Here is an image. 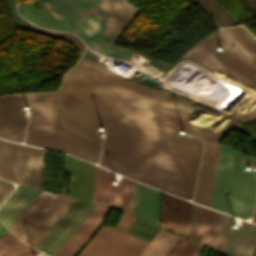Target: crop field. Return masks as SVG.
<instances>
[{
    "mask_svg": "<svg viewBox=\"0 0 256 256\" xmlns=\"http://www.w3.org/2000/svg\"><path fill=\"white\" fill-rule=\"evenodd\" d=\"M44 150L0 140V177L42 190Z\"/></svg>",
    "mask_w": 256,
    "mask_h": 256,
    "instance_id": "412701ff",
    "label": "crop field"
},
{
    "mask_svg": "<svg viewBox=\"0 0 256 256\" xmlns=\"http://www.w3.org/2000/svg\"><path fill=\"white\" fill-rule=\"evenodd\" d=\"M148 242L124 233L106 256H138Z\"/></svg>",
    "mask_w": 256,
    "mask_h": 256,
    "instance_id": "d9b57169",
    "label": "crop field"
},
{
    "mask_svg": "<svg viewBox=\"0 0 256 256\" xmlns=\"http://www.w3.org/2000/svg\"><path fill=\"white\" fill-rule=\"evenodd\" d=\"M38 250H36V249H32V250H30L28 253H26L24 256H32L33 254H35L36 252H37Z\"/></svg>",
    "mask_w": 256,
    "mask_h": 256,
    "instance_id": "4177f3b9",
    "label": "crop field"
},
{
    "mask_svg": "<svg viewBox=\"0 0 256 256\" xmlns=\"http://www.w3.org/2000/svg\"><path fill=\"white\" fill-rule=\"evenodd\" d=\"M223 214L216 211L213 250L219 252Z\"/></svg>",
    "mask_w": 256,
    "mask_h": 256,
    "instance_id": "214f88e0",
    "label": "crop field"
},
{
    "mask_svg": "<svg viewBox=\"0 0 256 256\" xmlns=\"http://www.w3.org/2000/svg\"><path fill=\"white\" fill-rule=\"evenodd\" d=\"M191 203L164 192L161 227L188 238Z\"/></svg>",
    "mask_w": 256,
    "mask_h": 256,
    "instance_id": "d8731c3e",
    "label": "crop field"
},
{
    "mask_svg": "<svg viewBox=\"0 0 256 256\" xmlns=\"http://www.w3.org/2000/svg\"><path fill=\"white\" fill-rule=\"evenodd\" d=\"M204 10L220 27L239 22L225 7L216 0H197Z\"/></svg>",
    "mask_w": 256,
    "mask_h": 256,
    "instance_id": "4a817a6b",
    "label": "crop field"
},
{
    "mask_svg": "<svg viewBox=\"0 0 256 256\" xmlns=\"http://www.w3.org/2000/svg\"><path fill=\"white\" fill-rule=\"evenodd\" d=\"M215 211L199 205L196 242L212 248Z\"/></svg>",
    "mask_w": 256,
    "mask_h": 256,
    "instance_id": "5142ce71",
    "label": "crop field"
},
{
    "mask_svg": "<svg viewBox=\"0 0 256 256\" xmlns=\"http://www.w3.org/2000/svg\"><path fill=\"white\" fill-rule=\"evenodd\" d=\"M202 249V246L188 241L176 256H199Z\"/></svg>",
    "mask_w": 256,
    "mask_h": 256,
    "instance_id": "92a150f3",
    "label": "crop field"
},
{
    "mask_svg": "<svg viewBox=\"0 0 256 256\" xmlns=\"http://www.w3.org/2000/svg\"><path fill=\"white\" fill-rule=\"evenodd\" d=\"M160 197V191L135 182L132 215L158 226Z\"/></svg>",
    "mask_w": 256,
    "mask_h": 256,
    "instance_id": "d1516ede",
    "label": "crop field"
},
{
    "mask_svg": "<svg viewBox=\"0 0 256 256\" xmlns=\"http://www.w3.org/2000/svg\"><path fill=\"white\" fill-rule=\"evenodd\" d=\"M52 197V194L41 191L10 230L19 237Z\"/></svg>",
    "mask_w": 256,
    "mask_h": 256,
    "instance_id": "cbeb9de0",
    "label": "crop field"
},
{
    "mask_svg": "<svg viewBox=\"0 0 256 256\" xmlns=\"http://www.w3.org/2000/svg\"><path fill=\"white\" fill-rule=\"evenodd\" d=\"M253 223H256V203H255V209H254V214H253Z\"/></svg>",
    "mask_w": 256,
    "mask_h": 256,
    "instance_id": "730fd06b",
    "label": "crop field"
},
{
    "mask_svg": "<svg viewBox=\"0 0 256 256\" xmlns=\"http://www.w3.org/2000/svg\"><path fill=\"white\" fill-rule=\"evenodd\" d=\"M219 144H216L212 141L206 139L198 184L194 196V202L205 205L208 207L218 152H219Z\"/></svg>",
    "mask_w": 256,
    "mask_h": 256,
    "instance_id": "3316defc",
    "label": "crop field"
},
{
    "mask_svg": "<svg viewBox=\"0 0 256 256\" xmlns=\"http://www.w3.org/2000/svg\"><path fill=\"white\" fill-rule=\"evenodd\" d=\"M256 66V40L242 26L225 29ZM219 30L187 52L188 59L254 91L236 116L217 134L185 120L196 110L169 95L139 87L81 57L66 73L58 92L0 97V138L66 152L184 199H191L202 142L182 131L219 143L239 123L256 118V68Z\"/></svg>",
    "mask_w": 256,
    "mask_h": 256,
    "instance_id": "8a807250",
    "label": "crop field"
},
{
    "mask_svg": "<svg viewBox=\"0 0 256 256\" xmlns=\"http://www.w3.org/2000/svg\"><path fill=\"white\" fill-rule=\"evenodd\" d=\"M74 201L55 195L19 238L36 247Z\"/></svg>",
    "mask_w": 256,
    "mask_h": 256,
    "instance_id": "f4fd0767",
    "label": "crop field"
},
{
    "mask_svg": "<svg viewBox=\"0 0 256 256\" xmlns=\"http://www.w3.org/2000/svg\"><path fill=\"white\" fill-rule=\"evenodd\" d=\"M112 179V172L96 166L93 202L123 211L126 179L119 186H112Z\"/></svg>",
    "mask_w": 256,
    "mask_h": 256,
    "instance_id": "5a996713",
    "label": "crop field"
},
{
    "mask_svg": "<svg viewBox=\"0 0 256 256\" xmlns=\"http://www.w3.org/2000/svg\"><path fill=\"white\" fill-rule=\"evenodd\" d=\"M232 216L224 214L220 252L227 256H253L256 249V225L243 221L242 230L230 234Z\"/></svg>",
    "mask_w": 256,
    "mask_h": 256,
    "instance_id": "dd49c442",
    "label": "crop field"
},
{
    "mask_svg": "<svg viewBox=\"0 0 256 256\" xmlns=\"http://www.w3.org/2000/svg\"><path fill=\"white\" fill-rule=\"evenodd\" d=\"M13 190V186L10 182L0 180V204Z\"/></svg>",
    "mask_w": 256,
    "mask_h": 256,
    "instance_id": "00972430",
    "label": "crop field"
},
{
    "mask_svg": "<svg viewBox=\"0 0 256 256\" xmlns=\"http://www.w3.org/2000/svg\"><path fill=\"white\" fill-rule=\"evenodd\" d=\"M134 220L124 213L116 229L102 226L78 256H105Z\"/></svg>",
    "mask_w": 256,
    "mask_h": 256,
    "instance_id": "28ad6ade",
    "label": "crop field"
},
{
    "mask_svg": "<svg viewBox=\"0 0 256 256\" xmlns=\"http://www.w3.org/2000/svg\"><path fill=\"white\" fill-rule=\"evenodd\" d=\"M39 192L40 190L19 185L0 207V221L10 229Z\"/></svg>",
    "mask_w": 256,
    "mask_h": 256,
    "instance_id": "22f410ed",
    "label": "crop field"
},
{
    "mask_svg": "<svg viewBox=\"0 0 256 256\" xmlns=\"http://www.w3.org/2000/svg\"><path fill=\"white\" fill-rule=\"evenodd\" d=\"M12 234L9 232L0 239V256H22L32 248Z\"/></svg>",
    "mask_w": 256,
    "mask_h": 256,
    "instance_id": "bc2a9ffb",
    "label": "crop field"
},
{
    "mask_svg": "<svg viewBox=\"0 0 256 256\" xmlns=\"http://www.w3.org/2000/svg\"><path fill=\"white\" fill-rule=\"evenodd\" d=\"M109 208L96 205L54 256H75L101 225Z\"/></svg>",
    "mask_w": 256,
    "mask_h": 256,
    "instance_id": "e52e79f7",
    "label": "crop field"
},
{
    "mask_svg": "<svg viewBox=\"0 0 256 256\" xmlns=\"http://www.w3.org/2000/svg\"><path fill=\"white\" fill-rule=\"evenodd\" d=\"M134 181L127 179L124 211L131 214Z\"/></svg>",
    "mask_w": 256,
    "mask_h": 256,
    "instance_id": "dafd665d",
    "label": "crop field"
},
{
    "mask_svg": "<svg viewBox=\"0 0 256 256\" xmlns=\"http://www.w3.org/2000/svg\"><path fill=\"white\" fill-rule=\"evenodd\" d=\"M172 234L161 229L139 256H164L179 238Z\"/></svg>",
    "mask_w": 256,
    "mask_h": 256,
    "instance_id": "733c2abd",
    "label": "crop field"
},
{
    "mask_svg": "<svg viewBox=\"0 0 256 256\" xmlns=\"http://www.w3.org/2000/svg\"><path fill=\"white\" fill-rule=\"evenodd\" d=\"M39 1L87 45L119 58H126L131 53L113 45L139 12L127 0Z\"/></svg>",
    "mask_w": 256,
    "mask_h": 256,
    "instance_id": "ac0d7876",
    "label": "crop field"
},
{
    "mask_svg": "<svg viewBox=\"0 0 256 256\" xmlns=\"http://www.w3.org/2000/svg\"><path fill=\"white\" fill-rule=\"evenodd\" d=\"M247 157L220 147L210 208L245 219L251 216L256 173L244 172Z\"/></svg>",
    "mask_w": 256,
    "mask_h": 256,
    "instance_id": "34b2d1b8",
    "label": "crop field"
},
{
    "mask_svg": "<svg viewBox=\"0 0 256 256\" xmlns=\"http://www.w3.org/2000/svg\"><path fill=\"white\" fill-rule=\"evenodd\" d=\"M186 242L187 240L180 237L165 256H175L180 251V249L185 245Z\"/></svg>",
    "mask_w": 256,
    "mask_h": 256,
    "instance_id": "a9b5d70f",
    "label": "crop field"
}]
</instances>
